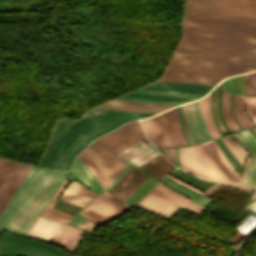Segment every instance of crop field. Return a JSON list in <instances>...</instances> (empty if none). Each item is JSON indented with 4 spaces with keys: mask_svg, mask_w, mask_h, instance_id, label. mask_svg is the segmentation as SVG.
Returning a JSON list of instances; mask_svg holds the SVG:
<instances>
[{
    "mask_svg": "<svg viewBox=\"0 0 256 256\" xmlns=\"http://www.w3.org/2000/svg\"><path fill=\"white\" fill-rule=\"evenodd\" d=\"M3 159V158H2ZM0 159V183L3 181L9 170L14 165V162Z\"/></svg>",
    "mask_w": 256,
    "mask_h": 256,
    "instance_id": "crop-field-37",
    "label": "crop field"
},
{
    "mask_svg": "<svg viewBox=\"0 0 256 256\" xmlns=\"http://www.w3.org/2000/svg\"><path fill=\"white\" fill-rule=\"evenodd\" d=\"M191 201L158 183L136 206L143 207L169 219L180 207L197 214L203 210V207L192 204Z\"/></svg>",
    "mask_w": 256,
    "mask_h": 256,
    "instance_id": "crop-field-7",
    "label": "crop field"
},
{
    "mask_svg": "<svg viewBox=\"0 0 256 256\" xmlns=\"http://www.w3.org/2000/svg\"><path fill=\"white\" fill-rule=\"evenodd\" d=\"M122 96L123 97H134V98H145V99L179 101V102H186V101H189V100H193L192 98L168 97V96L133 94V93H126V94H124Z\"/></svg>",
    "mask_w": 256,
    "mask_h": 256,
    "instance_id": "crop-field-30",
    "label": "crop field"
},
{
    "mask_svg": "<svg viewBox=\"0 0 256 256\" xmlns=\"http://www.w3.org/2000/svg\"><path fill=\"white\" fill-rule=\"evenodd\" d=\"M23 167V164L15 163L13 168L10 170L4 181L0 185V199L16 177V175L19 173L21 168Z\"/></svg>",
    "mask_w": 256,
    "mask_h": 256,
    "instance_id": "crop-field-29",
    "label": "crop field"
},
{
    "mask_svg": "<svg viewBox=\"0 0 256 256\" xmlns=\"http://www.w3.org/2000/svg\"><path fill=\"white\" fill-rule=\"evenodd\" d=\"M160 183H162V184H164V185H166V186H168V187H170V188H172V189H174L173 187H171V186H169V185H167V184H165V183H163V182H160ZM175 191H177V192H179V193H181V194H183L182 192H180V191H178V190H176V189H174ZM184 196H186V197H188V198H190L189 196H187V195H185V194H183ZM191 199V198H190ZM193 200V199H192Z\"/></svg>",
    "mask_w": 256,
    "mask_h": 256,
    "instance_id": "crop-field-59",
    "label": "crop field"
},
{
    "mask_svg": "<svg viewBox=\"0 0 256 256\" xmlns=\"http://www.w3.org/2000/svg\"><path fill=\"white\" fill-rule=\"evenodd\" d=\"M242 76H243V75H242ZM238 77H239V75H238ZM235 78H236V82H237V86H238V91H239V94H240L239 81L241 80V84H242V77H241V75H240V80H239V81H238L237 76H236ZM243 78H244V76H243ZM241 84H240V87H241ZM244 85H245V89H246L245 80H244ZM242 92H243V94H244L243 86H242ZM241 94H242V93H241ZM245 94H247V91L245 92Z\"/></svg>",
    "mask_w": 256,
    "mask_h": 256,
    "instance_id": "crop-field-53",
    "label": "crop field"
},
{
    "mask_svg": "<svg viewBox=\"0 0 256 256\" xmlns=\"http://www.w3.org/2000/svg\"><path fill=\"white\" fill-rule=\"evenodd\" d=\"M162 180H164V181H166V182H168V183H170V184H172V185H174V186H176V187H178V188H180V189H182V190L188 192L189 194L195 196L196 198L192 201V203H195V204H198V205H201V206L206 207V206H208L210 203L213 202V200H211V199H209V198H207V197H204V196L197 195V194H195V193H193V192H191V191H189V190H187V189H185V188H183V187L177 185L176 183H173V182H171V181H169V180H167V179H165V178L162 179Z\"/></svg>",
    "mask_w": 256,
    "mask_h": 256,
    "instance_id": "crop-field-32",
    "label": "crop field"
},
{
    "mask_svg": "<svg viewBox=\"0 0 256 256\" xmlns=\"http://www.w3.org/2000/svg\"><path fill=\"white\" fill-rule=\"evenodd\" d=\"M242 140H244L256 152V139L250 134L248 130L236 133Z\"/></svg>",
    "mask_w": 256,
    "mask_h": 256,
    "instance_id": "crop-field-35",
    "label": "crop field"
},
{
    "mask_svg": "<svg viewBox=\"0 0 256 256\" xmlns=\"http://www.w3.org/2000/svg\"><path fill=\"white\" fill-rule=\"evenodd\" d=\"M67 172L68 171L54 170L34 201L31 203L27 211L24 213L18 224L13 229V232L25 235L26 231L32 225Z\"/></svg>",
    "mask_w": 256,
    "mask_h": 256,
    "instance_id": "crop-field-10",
    "label": "crop field"
},
{
    "mask_svg": "<svg viewBox=\"0 0 256 256\" xmlns=\"http://www.w3.org/2000/svg\"><path fill=\"white\" fill-rule=\"evenodd\" d=\"M67 183H68V180L65 179L41 215L51 217V218H54L57 220H61L66 223L73 217V215H70V214L64 213L62 211L51 208L52 205L55 203L57 197L60 195V193L65 188Z\"/></svg>",
    "mask_w": 256,
    "mask_h": 256,
    "instance_id": "crop-field-25",
    "label": "crop field"
},
{
    "mask_svg": "<svg viewBox=\"0 0 256 256\" xmlns=\"http://www.w3.org/2000/svg\"><path fill=\"white\" fill-rule=\"evenodd\" d=\"M232 79H233V82H234V85H235L236 93L238 94L234 77Z\"/></svg>",
    "mask_w": 256,
    "mask_h": 256,
    "instance_id": "crop-field-60",
    "label": "crop field"
},
{
    "mask_svg": "<svg viewBox=\"0 0 256 256\" xmlns=\"http://www.w3.org/2000/svg\"><path fill=\"white\" fill-rule=\"evenodd\" d=\"M201 107H202V117H203L205 127L209 131L212 139L218 138L221 135L219 134L218 130L216 129V127L213 123V119L211 117L210 94L207 97L201 99Z\"/></svg>",
    "mask_w": 256,
    "mask_h": 256,
    "instance_id": "crop-field-26",
    "label": "crop field"
},
{
    "mask_svg": "<svg viewBox=\"0 0 256 256\" xmlns=\"http://www.w3.org/2000/svg\"><path fill=\"white\" fill-rule=\"evenodd\" d=\"M79 227H81V228H83V229H85V230H87V231H89V232H92V231H94L96 228H97V225H95V224H93V223H91L90 221H88V220H84L80 225H79Z\"/></svg>",
    "mask_w": 256,
    "mask_h": 256,
    "instance_id": "crop-field-42",
    "label": "crop field"
},
{
    "mask_svg": "<svg viewBox=\"0 0 256 256\" xmlns=\"http://www.w3.org/2000/svg\"><path fill=\"white\" fill-rule=\"evenodd\" d=\"M30 169L29 166H27V168L25 169V171L22 173V175L20 176V178L18 179V181L16 182V184L13 186V188L11 189V191L9 192V194L7 195V197L4 199V201L2 202V204L0 205V212L3 209V207L5 206V204L7 203V201L9 200V198L11 197V195L13 194V192L15 191V189L17 188V186L19 185V183L22 181V179L24 178V176L26 175V173L28 172V170Z\"/></svg>",
    "mask_w": 256,
    "mask_h": 256,
    "instance_id": "crop-field-38",
    "label": "crop field"
},
{
    "mask_svg": "<svg viewBox=\"0 0 256 256\" xmlns=\"http://www.w3.org/2000/svg\"><path fill=\"white\" fill-rule=\"evenodd\" d=\"M236 2L256 3V0H226ZM256 4L213 1L187 0V17L256 23Z\"/></svg>",
    "mask_w": 256,
    "mask_h": 256,
    "instance_id": "crop-field-5",
    "label": "crop field"
},
{
    "mask_svg": "<svg viewBox=\"0 0 256 256\" xmlns=\"http://www.w3.org/2000/svg\"><path fill=\"white\" fill-rule=\"evenodd\" d=\"M143 137L145 135L139 122L134 121L124 124L94 142L116 155Z\"/></svg>",
    "mask_w": 256,
    "mask_h": 256,
    "instance_id": "crop-field-11",
    "label": "crop field"
},
{
    "mask_svg": "<svg viewBox=\"0 0 256 256\" xmlns=\"http://www.w3.org/2000/svg\"><path fill=\"white\" fill-rule=\"evenodd\" d=\"M254 191H255V190H254ZM255 196H256V191H255V193H254V195H253L252 199H253ZM252 199H251V200H252Z\"/></svg>",
    "mask_w": 256,
    "mask_h": 256,
    "instance_id": "crop-field-61",
    "label": "crop field"
},
{
    "mask_svg": "<svg viewBox=\"0 0 256 256\" xmlns=\"http://www.w3.org/2000/svg\"><path fill=\"white\" fill-rule=\"evenodd\" d=\"M139 88L206 94L212 87L154 81Z\"/></svg>",
    "mask_w": 256,
    "mask_h": 256,
    "instance_id": "crop-field-18",
    "label": "crop field"
},
{
    "mask_svg": "<svg viewBox=\"0 0 256 256\" xmlns=\"http://www.w3.org/2000/svg\"><path fill=\"white\" fill-rule=\"evenodd\" d=\"M215 142L218 144V146L220 147V149L223 151V153L226 155V153L224 152V150L221 148V146L219 145V143L216 141V139H215ZM226 157H227V155H226ZM228 158V157H227ZM229 159V158H228ZM229 161H230V159H229ZM231 162V161H230ZM232 163V162H231ZM232 165L234 166V164L232 163ZM234 168L237 170V172L238 173H240L239 171H238V169L234 166Z\"/></svg>",
    "mask_w": 256,
    "mask_h": 256,
    "instance_id": "crop-field-57",
    "label": "crop field"
},
{
    "mask_svg": "<svg viewBox=\"0 0 256 256\" xmlns=\"http://www.w3.org/2000/svg\"><path fill=\"white\" fill-rule=\"evenodd\" d=\"M56 204H59V205H62V206H65V207H68V208H71V209H74V210H77V211L80 210V209H77V208H75V207H72V206L63 204V203L58 202V201H56ZM56 204H55V205H56ZM55 205H54V206H55ZM59 205H58V206H59ZM54 206H53V208H56V207H54ZM58 206H57V207H58ZM62 206H61V207H62ZM61 207H59V208H61ZM65 207H64V208H65ZM59 208H56V209H59ZM64 208H62V209H64ZM68 208H67V209H68ZM62 209H59V210H62ZM67 209H65V210H67ZM71 209H70V210H71ZM70 210H67V211H70ZM74 210H73V211H74ZM62 211H64V210H62ZM67 211H64V212H67ZM73 211H70V212H73ZM77 211H76V212H77ZM70 212H67V213H70ZM76 212H73V213L76 214ZM70 214H72V213H70ZM75 214H73V215H75Z\"/></svg>",
    "mask_w": 256,
    "mask_h": 256,
    "instance_id": "crop-field-46",
    "label": "crop field"
},
{
    "mask_svg": "<svg viewBox=\"0 0 256 256\" xmlns=\"http://www.w3.org/2000/svg\"><path fill=\"white\" fill-rule=\"evenodd\" d=\"M132 166L129 164L104 188V190H108L119 178H121Z\"/></svg>",
    "mask_w": 256,
    "mask_h": 256,
    "instance_id": "crop-field-40",
    "label": "crop field"
},
{
    "mask_svg": "<svg viewBox=\"0 0 256 256\" xmlns=\"http://www.w3.org/2000/svg\"><path fill=\"white\" fill-rule=\"evenodd\" d=\"M175 152H176L177 166L181 167L180 164H179L178 148L175 149Z\"/></svg>",
    "mask_w": 256,
    "mask_h": 256,
    "instance_id": "crop-field-58",
    "label": "crop field"
},
{
    "mask_svg": "<svg viewBox=\"0 0 256 256\" xmlns=\"http://www.w3.org/2000/svg\"><path fill=\"white\" fill-rule=\"evenodd\" d=\"M251 70H256V55L176 48L157 80L213 86Z\"/></svg>",
    "mask_w": 256,
    "mask_h": 256,
    "instance_id": "crop-field-2",
    "label": "crop field"
},
{
    "mask_svg": "<svg viewBox=\"0 0 256 256\" xmlns=\"http://www.w3.org/2000/svg\"><path fill=\"white\" fill-rule=\"evenodd\" d=\"M220 89H221V109H222L223 120H224V122L226 123L227 127L229 128L230 132H232V129H231V127L229 126V124H228V122H227V120H226V118H225V115H224V109H223V95H224V91H223L221 85H220Z\"/></svg>",
    "mask_w": 256,
    "mask_h": 256,
    "instance_id": "crop-field-44",
    "label": "crop field"
},
{
    "mask_svg": "<svg viewBox=\"0 0 256 256\" xmlns=\"http://www.w3.org/2000/svg\"><path fill=\"white\" fill-rule=\"evenodd\" d=\"M148 143H150V142L146 138H143L142 140L138 141L137 143H135L134 145L127 148L126 150H124L123 152L119 153L116 156L123 159V158L127 157L128 155L132 154L133 152H135L136 150L140 149L141 147L145 146Z\"/></svg>",
    "mask_w": 256,
    "mask_h": 256,
    "instance_id": "crop-field-33",
    "label": "crop field"
},
{
    "mask_svg": "<svg viewBox=\"0 0 256 256\" xmlns=\"http://www.w3.org/2000/svg\"><path fill=\"white\" fill-rule=\"evenodd\" d=\"M78 158L92 170L103 188L128 164L94 143Z\"/></svg>",
    "mask_w": 256,
    "mask_h": 256,
    "instance_id": "crop-field-8",
    "label": "crop field"
},
{
    "mask_svg": "<svg viewBox=\"0 0 256 256\" xmlns=\"http://www.w3.org/2000/svg\"><path fill=\"white\" fill-rule=\"evenodd\" d=\"M141 171L149 174L150 176L160 180L168 172L175 169V166L168 162L161 154L147 162L140 168Z\"/></svg>",
    "mask_w": 256,
    "mask_h": 256,
    "instance_id": "crop-field-20",
    "label": "crop field"
},
{
    "mask_svg": "<svg viewBox=\"0 0 256 256\" xmlns=\"http://www.w3.org/2000/svg\"><path fill=\"white\" fill-rule=\"evenodd\" d=\"M186 121L193 143L210 140L201 118L200 100L184 105Z\"/></svg>",
    "mask_w": 256,
    "mask_h": 256,
    "instance_id": "crop-field-14",
    "label": "crop field"
},
{
    "mask_svg": "<svg viewBox=\"0 0 256 256\" xmlns=\"http://www.w3.org/2000/svg\"><path fill=\"white\" fill-rule=\"evenodd\" d=\"M230 108H231V114L235 120V122L237 123L238 127L240 128V130H242V127L240 126V124L237 122L235 115H234V111H233V95H230Z\"/></svg>",
    "mask_w": 256,
    "mask_h": 256,
    "instance_id": "crop-field-50",
    "label": "crop field"
},
{
    "mask_svg": "<svg viewBox=\"0 0 256 256\" xmlns=\"http://www.w3.org/2000/svg\"><path fill=\"white\" fill-rule=\"evenodd\" d=\"M96 193L72 180L59 199L84 207Z\"/></svg>",
    "mask_w": 256,
    "mask_h": 256,
    "instance_id": "crop-field-17",
    "label": "crop field"
},
{
    "mask_svg": "<svg viewBox=\"0 0 256 256\" xmlns=\"http://www.w3.org/2000/svg\"><path fill=\"white\" fill-rule=\"evenodd\" d=\"M149 176L131 168L120 180H118L107 192L124 201L135 189H137Z\"/></svg>",
    "mask_w": 256,
    "mask_h": 256,
    "instance_id": "crop-field-15",
    "label": "crop field"
},
{
    "mask_svg": "<svg viewBox=\"0 0 256 256\" xmlns=\"http://www.w3.org/2000/svg\"><path fill=\"white\" fill-rule=\"evenodd\" d=\"M103 104L116 105V106H127V107H137V108H148V109H159V110H166V109L172 107L171 105L149 104V103L117 101V100H110Z\"/></svg>",
    "mask_w": 256,
    "mask_h": 256,
    "instance_id": "crop-field-27",
    "label": "crop field"
},
{
    "mask_svg": "<svg viewBox=\"0 0 256 256\" xmlns=\"http://www.w3.org/2000/svg\"><path fill=\"white\" fill-rule=\"evenodd\" d=\"M130 208L131 206L123 204L103 191L94 197L80 214L98 225H103Z\"/></svg>",
    "mask_w": 256,
    "mask_h": 256,
    "instance_id": "crop-field-9",
    "label": "crop field"
},
{
    "mask_svg": "<svg viewBox=\"0 0 256 256\" xmlns=\"http://www.w3.org/2000/svg\"><path fill=\"white\" fill-rule=\"evenodd\" d=\"M217 90H218V114H219V119L224 127V129L227 131V133H229L228 128L226 127V125L224 124L223 120H222V116H221V110H220V89H219V85H217Z\"/></svg>",
    "mask_w": 256,
    "mask_h": 256,
    "instance_id": "crop-field-43",
    "label": "crop field"
},
{
    "mask_svg": "<svg viewBox=\"0 0 256 256\" xmlns=\"http://www.w3.org/2000/svg\"><path fill=\"white\" fill-rule=\"evenodd\" d=\"M244 102L246 104V112L253 122L245 113ZM234 110L239 123L244 129L256 125V96L234 95Z\"/></svg>",
    "mask_w": 256,
    "mask_h": 256,
    "instance_id": "crop-field-16",
    "label": "crop field"
},
{
    "mask_svg": "<svg viewBox=\"0 0 256 256\" xmlns=\"http://www.w3.org/2000/svg\"><path fill=\"white\" fill-rule=\"evenodd\" d=\"M211 104H214V97H213V90L211 91ZM211 113H212V105H211ZM213 114H214V105H213ZM213 114H212V117H213ZM214 118H215V116H214ZM213 118V119H214ZM215 121H216V119H215ZM216 123H217V121H216ZM216 125V124H215ZM217 125H218V127H219V129L221 130V128H220V126H219V124L217 123ZM217 125H216V127H217ZM217 127V128H218ZM218 129V130H219ZM220 132V131H219ZM221 132H222V130H221ZM222 134H223V132H222ZM224 135V134H223Z\"/></svg>",
    "mask_w": 256,
    "mask_h": 256,
    "instance_id": "crop-field-51",
    "label": "crop field"
},
{
    "mask_svg": "<svg viewBox=\"0 0 256 256\" xmlns=\"http://www.w3.org/2000/svg\"><path fill=\"white\" fill-rule=\"evenodd\" d=\"M228 80V84H229V87H230V90L233 94H236L235 93V89H234V85H233V82H232V79L231 78H227Z\"/></svg>",
    "mask_w": 256,
    "mask_h": 256,
    "instance_id": "crop-field-54",
    "label": "crop field"
},
{
    "mask_svg": "<svg viewBox=\"0 0 256 256\" xmlns=\"http://www.w3.org/2000/svg\"><path fill=\"white\" fill-rule=\"evenodd\" d=\"M256 130V128H254Z\"/></svg>",
    "mask_w": 256,
    "mask_h": 256,
    "instance_id": "crop-field-62",
    "label": "crop field"
},
{
    "mask_svg": "<svg viewBox=\"0 0 256 256\" xmlns=\"http://www.w3.org/2000/svg\"><path fill=\"white\" fill-rule=\"evenodd\" d=\"M179 155L184 170L204 179L218 181L201 144L181 147Z\"/></svg>",
    "mask_w": 256,
    "mask_h": 256,
    "instance_id": "crop-field-12",
    "label": "crop field"
},
{
    "mask_svg": "<svg viewBox=\"0 0 256 256\" xmlns=\"http://www.w3.org/2000/svg\"><path fill=\"white\" fill-rule=\"evenodd\" d=\"M220 181L238 182L239 177L221 153L214 140L202 143Z\"/></svg>",
    "mask_w": 256,
    "mask_h": 256,
    "instance_id": "crop-field-13",
    "label": "crop field"
},
{
    "mask_svg": "<svg viewBox=\"0 0 256 256\" xmlns=\"http://www.w3.org/2000/svg\"><path fill=\"white\" fill-rule=\"evenodd\" d=\"M181 108H182L183 119H184V123H185V127H186V121H185V115H184V111H183V105L181 106ZM186 131H187L189 143H190V145H192L193 143H192V141H191V139H190V136H189V132H188V130H187V127H186Z\"/></svg>",
    "mask_w": 256,
    "mask_h": 256,
    "instance_id": "crop-field-55",
    "label": "crop field"
},
{
    "mask_svg": "<svg viewBox=\"0 0 256 256\" xmlns=\"http://www.w3.org/2000/svg\"><path fill=\"white\" fill-rule=\"evenodd\" d=\"M163 151L166 153V155L169 157L170 160L176 163L174 148L163 149Z\"/></svg>",
    "mask_w": 256,
    "mask_h": 256,
    "instance_id": "crop-field-45",
    "label": "crop field"
},
{
    "mask_svg": "<svg viewBox=\"0 0 256 256\" xmlns=\"http://www.w3.org/2000/svg\"><path fill=\"white\" fill-rule=\"evenodd\" d=\"M85 218H83L81 215H77L74 219H72L69 224L78 226Z\"/></svg>",
    "mask_w": 256,
    "mask_h": 256,
    "instance_id": "crop-field-48",
    "label": "crop field"
},
{
    "mask_svg": "<svg viewBox=\"0 0 256 256\" xmlns=\"http://www.w3.org/2000/svg\"><path fill=\"white\" fill-rule=\"evenodd\" d=\"M177 47L256 54V24L182 17Z\"/></svg>",
    "mask_w": 256,
    "mask_h": 256,
    "instance_id": "crop-field-3",
    "label": "crop field"
},
{
    "mask_svg": "<svg viewBox=\"0 0 256 256\" xmlns=\"http://www.w3.org/2000/svg\"><path fill=\"white\" fill-rule=\"evenodd\" d=\"M59 224V222L38 216L27 234L51 241Z\"/></svg>",
    "mask_w": 256,
    "mask_h": 256,
    "instance_id": "crop-field-19",
    "label": "crop field"
},
{
    "mask_svg": "<svg viewBox=\"0 0 256 256\" xmlns=\"http://www.w3.org/2000/svg\"><path fill=\"white\" fill-rule=\"evenodd\" d=\"M72 178L80 180L83 184L90 187L91 190L95 191L96 193L102 190L90 170L77 159L75 160V164L67 179L71 180Z\"/></svg>",
    "mask_w": 256,
    "mask_h": 256,
    "instance_id": "crop-field-21",
    "label": "crop field"
},
{
    "mask_svg": "<svg viewBox=\"0 0 256 256\" xmlns=\"http://www.w3.org/2000/svg\"><path fill=\"white\" fill-rule=\"evenodd\" d=\"M178 110H179V116H180V120H181V124H182V128H183V132H184V136H185L186 144H187V145H189V143H188V139H187V136H186V132H185V128H184V124H183V120H182V115H181V109H180V106L178 107Z\"/></svg>",
    "mask_w": 256,
    "mask_h": 256,
    "instance_id": "crop-field-52",
    "label": "crop field"
},
{
    "mask_svg": "<svg viewBox=\"0 0 256 256\" xmlns=\"http://www.w3.org/2000/svg\"><path fill=\"white\" fill-rule=\"evenodd\" d=\"M244 75L246 79L248 94H256V72L246 73Z\"/></svg>",
    "mask_w": 256,
    "mask_h": 256,
    "instance_id": "crop-field-34",
    "label": "crop field"
},
{
    "mask_svg": "<svg viewBox=\"0 0 256 256\" xmlns=\"http://www.w3.org/2000/svg\"><path fill=\"white\" fill-rule=\"evenodd\" d=\"M169 175V174H168ZM165 176V177H167V178H169V179H171V180H173V181H175V182H177L178 184H180V185H182V186H184V187H186V188H188V189H190V190H192V191H194V192H196V193H201V191H199V190H197V189H195V188H193V187H190V186H188V185H186V184H184V183H182V182H180V181H178V180H176V179H174V178H172V177H170V176Z\"/></svg>",
    "mask_w": 256,
    "mask_h": 256,
    "instance_id": "crop-field-47",
    "label": "crop field"
},
{
    "mask_svg": "<svg viewBox=\"0 0 256 256\" xmlns=\"http://www.w3.org/2000/svg\"><path fill=\"white\" fill-rule=\"evenodd\" d=\"M221 184L223 186H227V187H231V188H235V189H239V190H243V191H249L250 187L248 186H243L241 184H237V183H230V182H221Z\"/></svg>",
    "mask_w": 256,
    "mask_h": 256,
    "instance_id": "crop-field-41",
    "label": "crop field"
},
{
    "mask_svg": "<svg viewBox=\"0 0 256 256\" xmlns=\"http://www.w3.org/2000/svg\"><path fill=\"white\" fill-rule=\"evenodd\" d=\"M150 115L153 114L92 108L79 120H58L37 166L69 169L75 156L94 138L122 123Z\"/></svg>",
    "mask_w": 256,
    "mask_h": 256,
    "instance_id": "crop-field-1",
    "label": "crop field"
},
{
    "mask_svg": "<svg viewBox=\"0 0 256 256\" xmlns=\"http://www.w3.org/2000/svg\"><path fill=\"white\" fill-rule=\"evenodd\" d=\"M63 226H64V224L61 223L60 226H59V228H58V230H57V232H56V234H55V236H54V238L52 239V242H54V240L56 239V237L59 235V233L61 232Z\"/></svg>",
    "mask_w": 256,
    "mask_h": 256,
    "instance_id": "crop-field-56",
    "label": "crop field"
},
{
    "mask_svg": "<svg viewBox=\"0 0 256 256\" xmlns=\"http://www.w3.org/2000/svg\"><path fill=\"white\" fill-rule=\"evenodd\" d=\"M82 233L83 230L65 224L56 244L72 252Z\"/></svg>",
    "mask_w": 256,
    "mask_h": 256,
    "instance_id": "crop-field-22",
    "label": "crop field"
},
{
    "mask_svg": "<svg viewBox=\"0 0 256 256\" xmlns=\"http://www.w3.org/2000/svg\"><path fill=\"white\" fill-rule=\"evenodd\" d=\"M131 92L145 93V94H157V95H168V96H180V97H192V98H199V97L204 96V95H200V94H188V93L165 92V91L142 90V89H135Z\"/></svg>",
    "mask_w": 256,
    "mask_h": 256,
    "instance_id": "crop-field-31",
    "label": "crop field"
},
{
    "mask_svg": "<svg viewBox=\"0 0 256 256\" xmlns=\"http://www.w3.org/2000/svg\"><path fill=\"white\" fill-rule=\"evenodd\" d=\"M221 139L223 140V142L227 145V147L232 151V153L236 156V158L243 165V160L248 155V153L245 151V149L241 145H239L229 135L223 136V137H221Z\"/></svg>",
    "mask_w": 256,
    "mask_h": 256,
    "instance_id": "crop-field-28",
    "label": "crop field"
},
{
    "mask_svg": "<svg viewBox=\"0 0 256 256\" xmlns=\"http://www.w3.org/2000/svg\"><path fill=\"white\" fill-rule=\"evenodd\" d=\"M231 136L252 155L242 183L256 187V154L235 134Z\"/></svg>",
    "mask_w": 256,
    "mask_h": 256,
    "instance_id": "crop-field-24",
    "label": "crop field"
},
{
    "mask_svg": "<svg viewBox=\"0 0 256 256\" xmlns=\"http://www.w3.org/2000/svg\"><path fill=\"white\" fill-rule=\"evenodd\" d=\"M148 139L159 147L186 145L177 107L146 120H140Z\"/></svg>",
    "mask_w": 256,
    "mask_h": 256,
    "instance_id": "crop-field-6",
    "label": "crop field"
},
{
    "mask_svg": "<svg viewBox=\"0 0 256 256\" xmlns=\"http://www.w3.org/2000/svg\"><path fill=\"white\" fill-rule=\"evenodd\" d=\"M114 99L117 100H128V101H139V102H149V103H160V104H171V105H178L181 104L179 102H168V101H156V100H145V99H134V98H122L116 97Z\"/></svg>",
    "mask_w": 256,
    "mask_h": 256,
    "instance_id": "crop-field-39",
    "label": "crop field"
},
{
    "mask_svg": "<svg viewBox=\"0 0 256 256\" xmlns=\"http://www.w3.org/2000/svg\"><path fill=\"white\" fill-rule=\"evenodd\" d=\"M52 172L50 169L31 167L0 213V231H12Z\"/></svg>",
    "mask_w": 256,
    "mask_h": 256,
    "instance_id": "crop-field-4",
    "label": "crop field"
},
{
    "mask_svg": "<svg viewBox=\"0 0 256 256\" xmlns=\"http://www.w3.org/2000/svg\"><path fill=\"white\" fill-rule=\"evenodd\" d=\"M224 109H225V115L226 118L230 124V126L232 127L233 131L235 130H239V128L237 127L236 123L234 122L231 114H230V109H229V95L225 93V98H224Z\"/></svg>",
    "mask_w": 256,
    "mask_h": 256,
    "instance_id": "crop-field-36",
    "label": "crop field"
},
{
    "mask_svg": "<svg viewBox=\"0 0 256 256\" xmlns=\"http://www.w3.org/2000/svg\"><path fill=\"white\" fill-rule=\"evenodd\" d=\"M214 97H215V115H216V118H217V120L220 124V121L218 119V114H217V90H216V87L214 88ZM220 126H221V124H220ZM221 128H222L223 132L226 134V131L223 129L222 126H221Z\"/></svg>",
    "mask_w": 256,
    "mask_h": 256,
    "instance_id": "crop-field-49",
    "label": "crop field"
},
{
    "mask_svg": "<svg viewBox=\"0 0 256 256\" xmlns=\"http://www.w3.org/2000/svg\"><path fill=\"white\" fill-rule=\"evenodd\" d=\"M158 154L160 153L157 148L150 143L123 160L138 167Z\"/></svg>",
    "mask_w": 256,
    "mask_h": 256,
    "instance_id": "crop-field-23",
    "label": "crop field"
}]
</instances>
